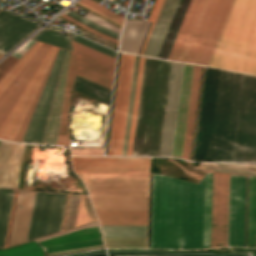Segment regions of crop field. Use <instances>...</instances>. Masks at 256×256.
I'll return each instance as SVG.
<instances>
[{"label":"crop field","instance_id":"8a807250","mask_svg":"<svg viewBox=\"0 0 256 256\" xmlns=\"http://www.w3.org/2000/svg\"><path fill=\"white\" fill-rule=\"evenodd\" d=\"M154 175L150 248L209 247L211 173L198 185Z\"/></svg>","mask_w":256,"mask_h":256},{"label":"crop field","instance_id":"ac0d7876","mask_svg":"<svg viewBox=\"0 0 256 256\" xmlns=\"http://www.w3.org/2000/svg\"><path fill=\"white\" fill-rule=\"evenodd\" d=\"M242 78L206 68L193 160L231 162Z\"/></svg>","mask_w":256,"mask_h":256},{"label":"crop field","instance_id":"34b2d1b8","mask_svg":"<svg viewBox=\"0 0 256 256\" xmlns=\"http://www.w3.org/2000/svg\"><path fill=\"white\" fill-rule=\"evenodd\" d=\"M180 0H165L143 55L158 57ZM191 0H181L159 57L168 59ZM215 0H192L169 59L190 63ZM155 57V58H156Z\"/></svg>","mask_w":256,"mask_h":256},{"label":"crop field","instance_id":"412701ff","mask_svg":"<svg viewBox=\"0 0 256 256\" xmlns=\"http://www.w3.org/2000/svg\"><path fill=\"white\" fill-rule=\"evenodd\" d=\"M171 62L145 58L134 156H159Z\"/></svg>","mask_w":256,"mask_h":256},{"label":"crop field","instance_id":"f4fd0767","mask_svg":"<svg viewBox=\"0 0 256 256\" xmlns=\"http://www.w3.org/2000/svg\"><path fill=\"white\" fill-rule=\"evenodd\" d=\"M210 67L256 74V0H235Z\"/></svg>","mask_w":256,"mask_h":256},{"label":"crop field","instance_id":"dd49c442","mask_svg":"<svg viewBox=\"0 0 256 256\" xmlns=\"http://www.w3.org/2000/svg\"><path fill=\"white\" fill-rule=\"evenodd\" d=\"M229 174L212 173L210 247L227 246ZM245 176L230 174L228 246L243 247Z\"/></svg>","mask_w":256,"mask_h":256},{"label":"crop field","instance_id":"e52e79f7","mask_svg":"<svg viewBox=\"0 0 256 256\" xmlns=\"http://www.w3.org/2000/svg\"><path fill=\"white\" fill-rule=\"evenodd\" d=\"M104 247L98 222L37 239L9 249L0 256H52Z\"/></svg>","mask_w":256,"mask_h":256},{"label":"crop field","instance_id":"d8731c3e","mask_svg":"<svg viewBox=\"0 0 256 256\" xmlns=\"http://www.w3.org/2000/svg\"><path fill=\"white\" fill-rule=\"evenodd\" d=\"M232 162L256 163V77L243 78Z\"/></svg>","mask_w":256,"mask_h":256},{"label":"crop field","instance_id":"5a996713","mask_svg":"<svg viewBox=\"0 0 256 256\" xmlns=\"http://www.w3.org/2000/svg\"><path fill=\"white\" fill-rule=\"evenodd\" d=\"M134 56L121 54L107 155H121Z\"/></svg>","mask_w":256,"mask_h":256},{"label":"crop field","instance_id":"3316defc","mask_svg":"<svg viewBox=\"0 0 256 256\" xmlns=\"http://www.w3.org/2000/svg\"><path fill=\"white\" fill-rule=\"evenodd\" d=\"M66 197L36 192L27 241L60 231Z\"/></svg>","mask_w":256,"mask_h":256},{"label":"crop field","instance_id":"28ad6ade","mask_svg":"<svg viewBox=\"0 0 256 256\" xmlns=\"http://www.w3.org/2000/svg\"><path fill=\"white\" fill-rule=\"evenodd\" d=\"M75 173H148V158L72 157Z\"/></svg>","mask_w":256,"mask_h":256},{"label":"crop field","instance_id":"d1516ede","mask_svg":"<svg viewBox=\"0 0 256 256\" xmlns=\"http://www.w3.org/2000/svg\"><path fill=\"white\" fill-rule=\"evenodd\" d=\"M56 50V47L51 46L48 53L42 60L41 64L33 74L12 110L0 127V139L12 141L18 127L25 115V112L31 102V99L38 87V84Z\"/></svg>","mask_w":256,"mask_h":256},{"label":"crop field","instance_id":"22f410ed","mask_svg":"<svg viewBox=\"0 0 256 256\" xmlns=\"http://www.w3.org/2000/svg\"><path fill=\"white\" fill-rule=\"evenodd\" d=\"M234 0H216L191 63L207 66Z\"/></svg>","mask_w":256,"mask_h":256},{"label":"crop field","instance_id":"cbeb9de0","mask_svg":"<svg viewBox=\"0 0 256 256\" xmlns=\"http://www.w3.org/2000/svg\"><path fill=\"white\" fill-rule=\"evenodd\" d=\"M183 64L172 62L161 153L171 156Z\"/></svg>","mask_w":256,"mask_h":256},{"label":"crop field","instance_id":"5142ce71","mask_svg":"<svg viewBox=\"0 0 256 256\" xmlns=\"http://www.w3.org/2000/svg\"><path fill=\"white\" fill-rule=\"evenodd\" d=\"M63 51L64 50L60 49L58 52V55L55 59V62L53 64V67H52L49 77L46 81V84L44 86V89L42 91V94L40 96V99L38 101V104L36 106V109L34 111V114L32 116V119L30 121V124L28 126V129L26 131V134H25L22 142H25V143H38L39 142L43 124L45 121V117H46L48 107L50 104V100L52 97V93L54 90V86H55L58 70L60 67Z\"/></svg>","mask_w":256,"mask_h":256},{"label":"crop field","instance_id":"d9b57169","mask_svg":"<svg viewBox=\"0 0 256 256\" xmlns=\"http://www.w3.org/2000/svg\"><path fill=\"white\" fill-rule=\"evenodd\" d=\"M40 25L42 23L0 10V53L5 54Z\"/></svg>","mask_w":256,"mask_h":256},{"label":"crop field","instance_id":"733c2abd","mask_svg":"<svg viewBox=\"0 0 256 256\" xmlns=\"http://www.w3.org/2000/svg\"><path fill=\"white\" fill-rule=\"evenodd\" d=\"M40 48V47H39ZM49 45L43 44L42 47L37 51V53L32 57L28 64L23 68V70L18 74L10 86L5 90V92L0 97V125L4 121L5 117L9 113L10 109L14 105L15 101L19 97L20 93L24 89L25 85L31 78L32 74L38 67L39 63L47 53ZM18 84L16 85L15 83Z\"/></svg>","mask_w":256,"mask_h":256},{"label":"crop field","instance_id":"4a817a6b","mask_svg":"<svg viewBox=\"0 0 256 256\" xmlns=\"http://www.w3.org/2000/svg\"><path fill=\"white\" fill-rule=\"evenodd\" d=\"M25 145L0 141V187L17 188Z\"/></svg>","mask_w":256,"mask_h":256},{"label":"crop field","instance_id":"bc2a9ffb","mask_svg":"<svg viewBox=\"0 0 256 256\" xmlns=\"http://www.w3.org/2000/svg\"><path fill=\"white\" fill-rule=\"evenodd\" d=\"M75 51V50H74ZM76 75L111 90L114 68L75 51Z\"/></svg>","mask_w":256,"mask_h":256},{"label":"crop field","instance_id":"214f88e0","mask_svg":"<svg viewBox=\"0 0 256 256\" xmlns=\"http://www.w3.org/2000/svg\"><path fill=\"white\" fill-rule=\"evenodd\" d=\"M34 194L19 190L9 247L26 242Z\"/></svg>","mask_w":256,"mask_h":256},{"label":"crop field","instance_id":"92a150f3","mask_svg":"<svg viewBox=\"0 0 256 256\" xmlns=\"http://www.w3.org/2000/svg\"><path fill=\"white\" fill-rule=\"evenodd\" d=\"M193 66L184 64L172 156L180 158Z\"/></svg>","mask_w":256,"mask_h":256},{"label":"crop field","instance_id":"dafd665d","mask_svg":"<svg viewBox=\"0 0 256 256\" xmlns=\"http://www.w3.org/2000/svg\"><path fill=\"white\" fill-rule=\"evenodd\" d=\"M200 70H201L200 66H194L190 98H189V105H188V112H187V119H186V126H185V133H184L182 155H181V158L187 159V160H189V157H190V149H191L194 117H195V110H196Z\"/></svg>","mask_w":256,"mask_h":256},{"label":"crop field","instance_id":"00972430","mask_svg":"<svg viewBox=\"0 0 256 256\" xmlns=\"http://www.w3.org/2000/svg\"><path fill=\"white\" fill-rule=\"evenodd\" d=\"M150 22L126 20L119 51L137 54Z\"/></svg>","mask_w":256,"mask_h":256},{"label":"crop field","instance_id":"a9b5d70f","mask_svg":"<svg viewBox=\"0 0 256 256\" xmlns=\"http://www.w3.org/2000/svg\"><path fill=\"white\" fill-rule=\"evenodd\" d=\"M95 210H147L148 198L90 197Z\"/></svg>","mask_w":256,"mask_h":256},{"label":"crop field","instance_id":"4177f3b9","mask_svg":"<svg viewBox=\"0 0 256 256\" xmlns=\"http://www.w3.org/2000/svg\"><path fill=\"white\" fill-rule=\"evenodd\" d=\"M101 225H147V211H95Z\"/></svg>","mask_w":256,"mask_h":256},{"label":"crop field","instance_id":"730fd06b","mask_svg":"<svg viewBox=\"0 0 256 256\" xmlns=\"http://www.w3.org/2000/svg\"><path fill=\"white\" fill-rule=\"evenodd\" d=\"M69 51L66 52L44 144H56Z\"/></svg>","mask_w":256,"mask_h":256},{"label":"crop field","instance_id":"eef30255","mask_svg":"<svg viewBox=\"0 0 256 256\" xmlns=\"http://www.w3.org/2000/svg\"><path fill=\"white\" fill-rule=\"evenodd\" d=\"M247 247L256 248V177L249 176Z\"/></svg>","mask_w":256,"mask_h":256},{"label":"crop field","instance_id":"ae1a2a85","mask_svg":"<svg viewBox=\"0 0 256 256\" xmlns=\"http://www.w3.org/2000/svg\"><path fill=\"white\" fill-rule=\"evenodd\" d=\"M73 79H74V58H73V53L70 51L69 67H68V73H67V80H66V86H65L64 100H63L58 141H57V144L59 145H69L68 132L66 127V115H67L70 87L73 83Z\"/></svg>","mask_w":256,"mask_h":256},{"label":"crop field","instance_id":"d3111659","mask_svg":"<svg viewBox=\"0 0 256 256\" xmlns=\"http://www.w3.org/2000/svg\"><path fill=\"white\" fill-rule=\"evenodd\" d=\"M64 14L69 16V17H71L72 19H74V20H76V21H78V22H80V23H82V24H84V25L94 29V30L102 32V33H104V34H106L108 36H111V37H113V38H115L117 40L119 39V35H117V34H120V30L121 29L116 27V26H114V25H112V24H110V23H108V22H106V21H104L103 19H101V18H99V17H97L95 15L87 13L84 17H86V18H88V19H90V20H92V21L102 25L103 27H105V28H107V29L117 33V34H115V33L111 32V31L101 27L100 25H98V24H96V23H94V22H92V21H90V20H88V19H86L84 17L82 18V17L78 16L77 14H75V13L69 11V10L66 11Z\"/></svg>","mask_w":256,"mask_h":256},{"label":"crop field","instance_id":"750c4746","mask_svg":"<svg viewBox=\"0 0 256 256\" xmlns=\"http://www.w3.org/2000/svg\"><path fill=\"white\" fill-rule=\"evenodd\" d=\"M76 91H79L83 94H86L88 96H91L95 99H98L100 101H103L107 104L110 102V95L111 91L108 89H105L101 86H98L96 84H93L89 81H86L84 79H81L76 76L74 86L73 88Z\"/></svg>","mask_w":256,"mask_h":256},{"label":"crop field","instance_id":"bd1437ed","mask_svg":"<svg viewBox=\"0 0 256 256\" xmlns=\"http://www.w3.org/2000/svg\"><path fill=\"white\" fill-rule=\"evenodd\" d=\"M14 190L0 189V247L4 246Z\"/></svg>","mask_w":256,"mask_h":256},{"label":"crop field","instance_id":"1d83c4d3","mask_svg":"<svg viewBox=\"0 0 256 256\" xmlns=\"http://www.w3.org/2000/svg\"><path fill=\"white\" fill-rule=\"evenodd\" d=\"M104 237H147V226H101Z\"/></svg>","mask_w":256,"mask_h":256},{"label":"crop field","instance_id":"120bbe31","mask_svg":"<svg viewBox=\"0 0 256 256\" xmlns=\"http://www.w3.org/2000/svg\"><path fill=\"white\" fill-rule=\"evenodd\" d=\"M58 50H59V49H57V51H56V53H55V55H54V57H53V59H52L50 65H49V67H48V69H47V71H46V73H45V75H44V77H43V79H42V81H41V83H40V85H39V87H38V89H37V91H36L34 97H33V100H32V102H31V104H30V106H29V108H28V110H27V112H26V115H25V117H24V119H23V121H22V123H21V125H20V128H19V130H18V132H17V134H16V136H15V138H14L13 141L21 142L22 139H23V136H24V134H25V131H26V129H27V126H28V124H29V121H30V119H31V116H32V114H33V111H34V109H35V106H36V104H37V101H38V99H39V96H40V94H41V91H42L43 86H44V84H45V81H46V79H47V77H48V74H49V72H50V69H51V67H52V64H53V62H54V59H55V57H56V55H57Z\"/></svg>","mask_w":256,"mask_h":256},{"label":"crop field","instance_id":"d32e631a","mask_svg":"<svg viewBox=\"0 0 256 256\" xmlns=\"http://www.w3.org/2000/svg\"><path fill=\"white\" fill-rule=\"evenodd\" d=\"M32 39L72 51L69 37L43 29Z\"/></svg>","mask_w":256,"mask_h":256},{"label":"crop field","instance_id":"5866460e","mask_svg":"<svg viewBox=\"0 0 256 256\" xmlns=\"http://www.w3.org/2000/svg\"><path fill=\"white\" fill-rule=\"evenodd\" d=\"M107 248H146L147 238H104Z\"/></svg>","mask_w":256,"mask_h":256},{"label":"crop field","instance_id":"028f5c9d","mask_svg":"<svg viewBox=\"0 0 256 256\" xmlns=\"http://www.w3.org/2000/svg\"><path fill=\"white\" fill-rule=\"evenodd\" d=\"M42 43L38 42L31 51L16 65V67L0 82V95L8 87V85L17 76L23 66L28 62V60L34 55V53L39 49Z\"/></svg>","mask_w":256,"mask_h":256},{"label":"crop field","instance_id":"e1f06a70","mask_svg":"<svg viewBox=\"0 0 256 256\" xmlns=\"http://www.w3.org/2000/svg\"><path fill=\"white\" fill-rule=\"evenodd\" d=\"M138 60H139V57L135 56L132 81H136ZM135 83L136 82H132V86H131V94H130V101H129L128 116H127V123H126L122 155H126V152H127V144H128V136H129V129H130L131 114H132Z\"/></svg>","mask_w":256,"mask_h":256},{"label":"crop field","instance_id":"0bd39190","mask_svg":"<svg viewBox=\"0 0 256 256\" xmlns=\"http://www.w3.org/2000/svg\"><path fill=\"white\" fill-rule=\"evenodd\" d=\"M72 44H73V47H74L75 50H77L79 52H82L84 54H87V55H89L91 57H94L96 59H99V60H101V61H103V62H105V63L114 67L115 61H116L115 58H113L111 56H108L106 54H103V53H101L99 51H96L92 48H89L87 46H84V45H82L80 43H77L73 40H72Z\"/></svg>","mask_w":256,"mask_h":256},{"label":"crop field","instance_id":"b80d0937","mask_svg":"<svg viewBox=\"0 0 256 256\" xmlns=\"http://www.w3.org/2000/svg\"><path fill=\"white\" fill-rule=\"evenodd\" d=\"M143 61H144V58L140 57L139 69H138V77H137V85H136V93H135V100H134L133 115H132V122H131V130H130V137H129V144H128L127 155H130V152H131V145H132L134 124H135V117H136V110H137V103H138V96H139V89H140V82H141V75H142V68H143Z\"/></svg>","mask_w":256,"mask_h":256},{"label":"crop field","instance_id":"c035e120","mask_svg":"<svg viewBox=\"0 0 256 256\" xmlns=\"http://www.w3.org/2000/svg\"><path fill=\"white\" fill-rule=\"evenodd\" d=\"M79 198H80V196L71 195L64 230L73 228L75 225V219H76V214H77V209H78Z\"/></svg>","mask_w":256,"mask_h":256},{"label":"crop field","instance_id":"c21b1889","mask_svg":"<svg viewBox=\"0 0 256 256\" xmlns=\"http://www.w3.org/2000/svg\"><path fill=\"white\" fill-rule=\"evenodd\" d=\"M163 2H164V0H156L155 3H154V6H153V8H152V11H151V13H150V15H149V18H148L147 21H152V23H151V25H150V28H149L148 33H147V35H146L145 41H144L143 46H142V48H141V51H140V53H139V54H141V55H142L143 52H144V49H145V47H146V44H147V42H148V39H149V37H150V34H151V32H152V29H153V27H154V24H155V22H156V19H157V17H158V14H159V12H160V9H161V7H162Z\"/></svg>","mask_w":256,"mask_h":256},{"label":"crop field","instance_id":"03da06ac","mask_svg":"<svg viewBox=\"0 0 256 256\" xmlns=\"http://www.w3.org/2000/svg\"><path fill=\"white\" fill-rule=\"evenodd\" d=\"M79 2L87 5L91 8H93V9H95V10H97V11H99V12H101V13H103V14L111 17V18H113V19H115L116 21H118L120 23H123V20H124L123 17L111 12L110 10L104 8L103 6L99 5L98 3H96L92 0H80Z\"/></svg>","mask_w":256,"mask_h":256},{"label":"crop field","instance_id":"b54c1fbb","mask_svg":"<svg viewBox=\"0 0 256 256\" xmlns=\"http://www.w3.org/2000/svg\"><path fill=\"white\" fill-rule=\"evenodd\" d=\"M69 34H70V36H71V39H73V40H75V41H77V42H80V43H82V44H85V45H87V46H89V47H92V48H94V49H96V50H99V51H101V52H103V53H106V54L111 55V56H113V57L116 58V52H114V51H112V50H109V49H107V48H105V47H102V46H100V45H97V44H95V43H93V42H90V41H88V40H86V39H84V38H82V37H80V36H77V35L73 34V33H70V32H69ZM85 45H84V46H85Z\"/></svg>","mask_w":256,"mask_h":256},{"label":"crop field","instance_id":"5d738f31","mask_svg":"<svg viewBox=\"0 0 256 256\" xmlns=\"http://www.w3.org/2000/svg\"><path fill=\"white\" fill-rule=\"evenodd\" d=\"M65 51H64V55H65ZM64 55H63V59H64ZM63 59H62V63H63ZM62 63H61V67H62ZM61 67H60V71H61ZM60 71H59V74H58L55 90H54V93H53V97H52V100H51V104H50V107H49L47 118H46V121H45V124H44L42 135H41V138H40V142L39 143H41V144H43V142H44V138H45V134H46V129H47L48 121H49V116H50V112H51V108H52V103H53V99H54V95H55V91H56V87H57Z\"/></svg>","mask_w":256,"mask_h":256},{"label":"crop field","instance_id":"d23c7cc5","mask_svg":"<svg viewBox=\"0 0 256 256\" xmlns=\"http://www.w3.org/2000/svg\"><path fill=\"white\" fill-rule=\"evenodd\" d=\"M61 17L65 18V19H67V20H69V21H71L72 23L78 25L79 27H81V28H83V29H85V30H87V31H89V32H91V33H93V34H95V35H98V36H100V37H103V38H105V39H107V40H110V41L115 42V43L118 44V41H117V40L111 39V38H109V37H107V36H105V35H103V34H101V33H99V32H96V31H94V30H91V29H89V28H87V27L81 25L80 23H78V22L72 20L71 18H69V17H67V16H65V15H63V14L61 15Z\"/></svg>","mask_w":256,"mask_h":256},{"label":"crop field","instance_id":"425ffa30","mask_svg":"<svg viewBox=\"0 0 256 256\" xmlns=\"http://www.w3.org/2000/svg\"><path fill=\"white\" fill-rule=\"evenodd\" d=\"M169 161H171V162L177 164L176 162H174V161H172V160H169ZM177 165H178V166L182 169V171H183L184 173H186L187 175H189V176H191V177H193V178H195V179H197V180L200 179V176H199V175L185 170V169H184L183 167H181L179 164H177Z\"/></svg>","mask_w":256,"mask_h":256},{"label":"crop field","instance_id":"25e5ab78","mask_svg":"<svg viewBox=\"0 0 256 256\" xmlns=\"http://www.w3.org/2000/svg\"><path fill=\"white\" fill-rule=\"evenodd\" d=\"M36 43H37V42H36ZM36 43H35V44H36ZM35 44H34V45H35ZM34 45H33V46H34ZM33 46H32V47H33ZM32 47H31V48H32ZM31 48H30V49H31ZM30 49H29V50H30ZM29 50H28V51H29ZM28 51H27V52H28ZM27 52H26V53H27ZM26 53H25V54H26ZM25 54H24V55H25ZM24 55H23V56H24ZM22 58H23V57H22ZM22 58H21V59H22ZM21 59H20V60H21ZM20 60H19V61H20ZM19 61H18V62H19ZM18 62H17V63H18ZM17 63H16V64H17ZM16 64H15V65H16ZM15 65H14V66H15ZM14 66H13V67H14ZM13 67H12V68H13ZM12 68H11V69H12ZM11 69H10V70H11ZM10 70H9V71H10ZM9 71H8V72H9ZM8 72H7V73H8ZM7 73H6V74H7ZM6 74L0 79V81L6 76Z\"/></svg>","mask_w":256,"mask_h":256}]
</instances>
